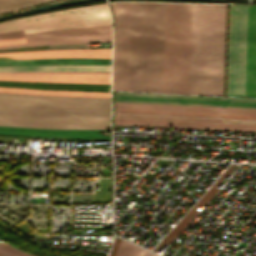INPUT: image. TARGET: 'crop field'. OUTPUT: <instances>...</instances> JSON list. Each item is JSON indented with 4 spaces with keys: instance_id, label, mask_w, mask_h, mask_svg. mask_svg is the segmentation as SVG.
<instances>
[{
    "instance_id": "25",
    "label": "crop field",
    "mask_w": 256,
    "mask_h": 256,
    "mask_svg": "<svg viewBox=\"0 0 256 256\" xmlns=\"http://www.w3.org/2000/svg\"><path fill=\"white\" fill-rule=\"evenodd\" d=\"M147 253H148L147 251L134 245L130 256H147ZM148 256H156V255L149 252Z\"/></svg>"
},
{
    "instance_id": "5",
    "label": "crop field",
    "mask_w": 256,
    "mask_h": 256,
    "mask_svg": "<svg viewBox=\"0 0 256 256\" xmlns=\"http://www.w3.org/2000/svg\"><path fill=\"white\" fill-rule=\"evenodd\" d=\"M111 24L107 4H99L0 23V32L23 29L25 33Z\"/></svg>"
},
{
    "instance_id": "24",
    "label": "crop field",
    "mask_w": 256,
    "mask_h": 256,
    "mask_svg": "<svg viewBox=\"0 0 256 256\" xmlns=\"http://www.w3.org/2000/svg\"><path fill=\"white\" fill-rule=\"evenodd\" d=\"M57 72L110 73V72H100V71H37V72H0V73H57Z\"/></svg>"
},
{
    "instance_id": "26",
    "label": "crop field",
    "mask_w": 256,
    "mask_h": 256,
    "mask_svg": "<svg viewBox=\"0 0 256 256\" xmlns=\"http://www.w3.org/2000/svg\"><path fill=\"white\" fill-rule=\"evenodd\" d=\"M24 36L22 30L0 33V39Z\"/></svg>"
},
{
    "instance_id": "19",
    "label": "crop field",
    "mask_w": 256,
    "mask_h": 256,
    "mask_svg": "<svg viewBox=\"0 0 256 256\" xmlns=\"http://www.w3.org/2000/svg\"><path fill=\"white\" fill-rule=\"evenodd\" d=\"M111 66L99 65H29L0 66V71H37V70H100L110 71Z\"/></svg>"
},
{
    "instance_id": "4",
    "label": "crop field",
    "mask_w": 256,
    "mask_h": 256,
    "mask_svg": "<svg viewBox=\"0 0 256 256\" xmlns=\"http://www.w3.org/2000/svg\"><path fill=\"white\" fill-rule=\"evenodd\" d=\"M0 96L110 100V98L99 97L56 96L10 92H0ZM22 97H0V113L33 116L111 118L110 101Z\"/></svg>"
},
{
    "instance_id": "18",
    "label": "crop field",
    "mask_w": 256,
    "mask_h": 256,
    "mask_svg": "<svg viewBox=\"0 0 256 256\" xmlns=\"http://www.w3.org/2000/svg\"><path fill=\"white\" fill-rule=\"evenodd\" d=\"M29 64L111 65V59L54 58V59H29V60H0V65H29Z\"/></svg>"
},
{
    "instance_id": "14",
    "label": "crop field",
    "mask_w": 256,
    "mask_h": 256,
    "mask_svg": "<svg viewBox=\"0 0 256 256\" xmlns=\"http://www.w3.org/2000/svg\"><path fill=\"white\" fill-rule=\"evenodd\" d=\"M2 80L110 84V74H0Z\"/></svg>"
},
{
    "instance_id": "3",
    "label": "crop field",
    "mask_w": 256,
    "mask_h": 256,
    "mask_svg": "<svg viewBox=\"0 0 256 256\" xmlns=\"http://www.w3.org/2000/svg\"><path fill=\"white\" fill-rule=\"evenodd\" d=\"M191 4L166 3L162 93L188 94Z\"/></svg>"
},
{
    "instance_id": "21",
    "label": "crop field",
    "mask_w": 256,
    "mask_h": 256,
    "mask_svg": "<svg viewBox=\"0 0 256 256\" xmlns=\"http://www.w3.org/2000/svg\"><path fill=\"white\" fill-rule=\"evenodd\" d=\"M46 1L52 0H0V13L22 9Z\"/></svg>"
},
{
    "instance_id": "27",
    "label": "crop field",
    "mask_w": 256,
    "mask_h": 256,
    "mask_svg": "<svg viewBox=\"0 0 256 256\" xmlns=\"http://www.w3.org/2000/svg\"><path fill=\"white\" fill-rule=\"evenodd\" d=\"M120 240H121V239H119V238H117V237L115 238L114 244H113V247H112V250H111L109 256H115L116 251H117L118 246H119V243H120Z\"/></svg>"
},
{
    "instance_id": "20",
    "label": "crop field",
    "mask_w": 256,
    "mask_h": 256,
    "mask_svg": "<svg viewBox=\"0 0 256 256\" xmlns=\"http://www.w3.org/2000/svg\"><path fill=\"white\" fill-rule=\"evenodd\" d=\"M0 91L39 93V94H56V95L110 97V93H98V92H72V91H53V90H36V89H16V88H0Z\"/></svg>"
},
{
    "instance_id": "11",
    "label": "crop field",
    "mask_w": 256,
    "mask_h": 256,
    "mask_svg": "<svg viewBox=\"0 0 256 256\" xmlns=\"http://www.w3.org/2000/svg\"><path fill=\"white\" fill-rule=\"evenodd\" d=\"M26 42L24 37L0 40V45ZM14 59L54 58V57H83V58H111V49H63L39 50L0 53Z\"/></svg>"
},
{
    "instance_id": "12",
    "label": "crop field",
    "mask_w": 256,
    "mask_h": 256,
    "mask_svg": "<svg viewBox=\"0 0 256 256\" xmlns=\"http://www.w3.org/2000/svg\"><path fill=\"white\" fill-rule=\"evenodd\" d=\"M114 125H139V126L169 127V128H189V129H209V130L256 132V125H248V124H227V123H207V122H186V121L115 118Z\"/></svg>"
},
{
    "instance_id": "2",
    "label": "crop field",
    "mask_w": 256,
    "mask_h": 256,
    "mask_svg": "<svg viewBox=\"0 0 256 256\" xmlns=\"http://www.w3.org/2000/svg\"><path fill=\"white\" fill-rule=\"evenodd\" d=\"M227 5L192 4L189 94L223 96Z\"/></svg>"
},
{
    "instance_id": "13",
    "label": "crop field",
    "mask_w": 256,
    "mask_h": 256,
    "mask_svg": "<svg viewBox=\"0 0 256 256\" xmlns=\"http://www.w3.org/2000/svg\"><path fill=\"white\" fill-rule=\"evenodd\" d=\"M115 109L256 116V110L115 102Z\"/></svg>"
},
{
    "instance_id": "9",
    "label": "crop field",
    "mask_w": 256,
    "mask_h": 256,
    "mask_svg": "<svg viewBox=\"0 0 256 256\" xmlns=\"http://www.w3.org/2000/svg\"><path fill=\"white\" fill-rule=\"evenodd\" d=\"M111 119L33 117L0 114V125L63 129H110Z\"/></svg>"
},
{
    "instance_id": "6",
    "label": "crop field",
    "mask_w": 256,
    "mask_h": 256,
    "mask_svg": "<svg viewBox=\"0 0 256 256\" xmlns=\"http://www.w3.org/2000/svg\"><path fill=\"white\" fill-rule=\"evenodd\" d=\"M248 5H230L226 96L244 97Z\"/></svg>"
},
{
    "instance_id": "7",
    "label": "crop field",
    "mask_w": 256,
    "mask_h": 256,
    "mask_svg": "<svg viewBox=\"0 0 256 256\" xmlns=\"http://www.w3.org/2000/svg\"><path fill=\"white\" fill-rule=\"evenodd\" d=\"M27 43L0 46V49L88 42H111V25L25 34Z\"/></svg>"
},
{
    "instance_id": "10",
    "label": "crop field",
    "mask_w": 256,
    "mask_h": 256,
    "mask_svg": "<svg viewBox=\"0 0 256 256\" xmlns=\"http://www.w3.org/2000/svg\"><path fill=\"white\" fill-rule=\"evenodd\" d=\"M115 117L256 124V117L115 110Z\"/></svg>"
},
{
    "instance_id": "22",
    "label": "crop field",
    "mask_w": 256,
    "mask_h": 256,
    "mask_svg": "<svg viewBox=\"0 0 256 256\" xmlns=\"http://www.w3.org/2000/svg\"><path fill=\"white\" fill-rule=\"evenodd\" d=\"M11 246L6 243H0V256H33L29 253L17 250Z\"/></svg>"
},
{
    "instance_id": "23",
    "label": "crop field",
    "mask_w": 256,
    "mask_h": 256,
    "mask_svg": "<svg viewBox=\"0 0 256 256\" xmlns=\"http://www.w3.org/2000/svg\"><path fill=\"white\" fill-rule=\"evenodd\" d=\"M132 246V244L122 240L116 256H128Z\"/></svg>"
},
{
    "instance_id": "15",
    "label": "crop field",
    "mask_w": 256,
    "mask_h": 256,
    "mask_svg": "<svg viewBox=\"0 0 256 256\" xmlns=\"http://www.w3.org/2000/svg\"><path fill=\"white\" fill-rule=\"evenodd\" d=\"M97 131L110 130H63L0 126V134L2 135L67 138H111V136H102L101 134H97Z\"/></svg>"
},
{
    "instance_id": "1",
    "label": "crop field",
    "mask_w": 256,
    "mask_h": 256,
    "mask_svg": "<svg viewBox=\"0 0 256 256\" xmlns=\"http://www.w3.org/2000/svg\"><path fill=\"white\" fill-rule=\"evenodd\" d=\"M115 18L112 89L126 91L130 2L111 4ZM155 3H131L127 91L161 93L163 44H153ZM165 3H156L154 43H163Z\"/></svg>"
},
{
    "instance_id": "16",
    "label": "crop field",
    "mask_w": 256,
    "mask_h": 256,
    "mask_svg": "<svg viewBox=\"0 0 256 256\" xmlns=\"http://www.w3.org/2000/svg\"><path fill=\"white\" fill-rule=\"evenodd\" d=\"M245 97L256 98V5H249Z\"/></svg>"
},
{
    "instance_id": "17",
    "label": "crop field",
    "mask_w": 256,
    "mask_h": 256,
    "mask_svg": "<svg viewBox=\"0 0 256 256\" xmlns=\"http://www.w3.org/2000/svg\"><path fill=\"white\" fill-rule=\"evenodd\" d=\"M235 165H231L228 170L219 178V180L210 188V190L199 200V202L183 217V219L164 237V239L154 248V252H156L159 247L165 243V244H169L173 238L181 231L185 228V226L191 221V219L196 215V213L198 212L197 210H195L197 208V206L199 204L205 206L210 199L215 195V193L211 192L216 186L217 184L223 180L227 174L233 169ZM219 185V184H218ZM199 213V212H198ZM197 213V214H198Z\"/></svg>"
},
{
    "instance_id": "8",
    "label": "crop field",
    "mask_w": 256,
    "mask_h": 256,
    "mask_svg": "<svg viewBox=\"0 0 256 256\" xmlns=\"http://www.w3.org/2000/svg\"><path fill=\"white\" fill-rule=\"evenodd\" d=\"M115 101L256 109V100L114 93Z\"/></svg>"
}]
</instances>
